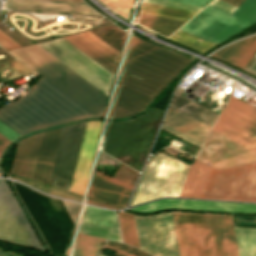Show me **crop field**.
I'll return each instance as SVG.
<instances>
[{"mask_svg":"<svg viewBox=\"0 0 256 256\" xmlns=\"http://www.w3.org/2000/svg\"><path fill=\"white\" fill-rule=\"evenodd\" d=\"M210 5L215 6L217 8H220V9H223V10L228 11L230 13H232L236 9L234 7L226 5V4H224L222 2H219L217 0L213 1Z\"/></svg>","mask_w":256,"mask_h":256,"instance_id":"45","label":"crop field"},{"mask_svg":"<svg viewBox=\"0 0 256 256\" xmlns=\"http://www.w3.org/2000/svg\"><path fill=\"white\" fill-rule=\"evenodd\" d=\"M118 217L123 242L140 248L133 215L124 212H118Z\"/></svg>","mask_w":256,"mask_h":256,"instance_id":"31","label":"crop field"},{"mask_svg":"<svg viewBox=\"0 0 256 256\" xmlns=\"http://www.w3.org/2000/svg\"><path fill=\"white\" fill-rule=\"evenodd\" d=\"M132 190V188L94 177L88 197L125 207Z\"/></svg>","mask_w":256,"mask_h":256,"instance_id":"20","label":"crop field"},{"mask_svg":"<svg viewBox=\"0 0 256 256\" xmlns=\"http://www.w3.org/2000/svg\"><path fill=\"white\" fill-rule=\"evenodd\" d=\"M210 256H238L230 216L202 215Z\"/></svg>","mask_w":256,"mask_h":256,"instance_id":"13","label":"crop field"},{"mask_svg":"<svg viewBox=\"0 0 256 256\" xmlns=\"http://www.w3.org/2000/svg\"><path fill=\"white\" fill-rule=\"evenodd\" d=\"M43 134L31 136L18 144L10 174L33 178Z\"/></svg>","mask_w":256,"mask_h":256,"instance_id":"17","label":"crop field"},{"mask_svg":"<svg viewBox=\"0 0 256 256\" xmlns=\"http://www.w3.org/2000/svg\"><path fill=\"white\" fill-rule=\"evenodd\" d=\"M172 215L180 256H209L201 215Z\"/></svg>","mask_w":256,"mask_h":256,"instance_id":"12","label":"crop field"},{"mask_svg":"<svg viewBox=\"0 0 256 256\" xmlns=\"http://www.w3.org/2000/svg\"><path fill=\"white\" fill-rule=\"evenodd\" d=\"M38 45L108 95L114 75L65 39L61 38Z\"/></svg>","mask_w":256,"mask_h":256,"instance_id":"8","label":"crop field"},{"mask_svg":"<svg viewBox=\"0 0 256 256\" xmlns=\"http://www.w3.org/2000/svg\"><path fill=\"white\" fill-rule=\"evenodd\" d=\"M3 8L99 15L84 2L55 0H8Z\"/></svg>","mask_w":256,"mask_h":256,"instance_id":"16","label":"crop field"},{"mask_svg":"<svg viewBox=\"0 0 256 256\" xmlns=\"http://www.w3.org/2000/svg\"><path fill=\"white\" fill-rule=\"evenodd\" d=\"M10 178L16 179L20 182H23L27 185H30V186H32V187H34V188H36V189H38L42 192H45L47 194L63 197V198L78 201V202H81V199H82L81 197H78L76 195L67 193L65 191L59 190V189L54 188V187H50V186H46V185H42V184H38V183L26 181V180H22V179H18V178H14V177H10Z\"/></svg>","mask_w":256,"mask_h":256,"instance_id":"35","label":"crop field"},{"mask_svg":"<svg viewBox=\"0 0 256 256\" xmlns=\"http://www.w3.org/2000/svg\"><path fill=\"white\" fill-rule=\"evenodd\" d=\"M85 124L63 129L49 183L69 190Z\"/></svg>","mask_w":256,"mask_h":256,"instance_id":"11","label":"crop field"},{"mask_svg":"<svg viewBox=\"0 0 256 256\" xmlns=\"http://www.w3.org/2000/svg\"><path fill=\"white\" fill-rule=\"evenodd\" d=\"M104 249H107V250H110V251H113V252H116V253H119V254H122V255H126V256H135V255H132V254H129V253L117 250L115 248H112V247H109V246H106V245L104 246Z\"/></svg>","mask_w":256,"mask_h":256,"instance_id":"50","label":"crop field"},{"mask_svg":"<svg viewBox=\"0 0 256 256\" xmlns=\"http://www.w3.org/2000/svg\"><path fill=\"white\" fill-rule=\"evenodd\" d=\"M164 124L176 129L177 131L200 143H203L211 127L173 107H170L169 114Z\"/></svg>","mask_w":256,"mask_h":256,"instance_id":"19","label":"crop field"},{"mask_svg":"<svg viewBox=\"0 0 256 256\" xmlns=\"http://www.w3.org/2000/svg\"><path fill=\"white\" fill-rule=\"evenodd\" d=\"M256 22V0H246L232 14L208 5L180 30L215 44Z\"/></svg>","mask_w":256,"mask_h":256,"instance_id":"4","label":"crop field"},{"mask_svg":"<svg viewBox=\"0 0 256 256\" xmlns=\"http://www.w3.org/2000/svg\"><path fill=\"white\" fill-rule=\"evenodd\" d=\"M0 45L5 49H14L20 47L16 42L6 36L3 32L0 31Z\"/></svg>","mask_w":256,"mask_h":256,"instance_id":"39","label":"crop field"},{"mask_svg":"<svg viewBox=\"0 0 256 256\" xmlns=\"http://www.w3.org/2000/svg\"><path fill=\"white\" fill-rule=\"evenodd\" d=\"M219 1H222L224 3H227L231 6H234V7H238L240 6L245 0H219Z\"/></svg>","mask_w":256,"mask_h":256,"instance_id":"46","label":"crop field"},{"mask_svg":"<svg viewBox=\"0 0 256 256\" xmlns=\"http://www.w3.org/2000/svg\"><path fill=\"white\" fill-rule=\"evenodd\" d=\"M82 220L119 228L115 212L90 206H87Z\"/></svg>","mask_w":256,"mask_h":256,"instance_id":"29","label":"crop field"},{"mask_svg":"<svg viewBox=\"0 0 256 256\" xmlns=\"http://www.w3.org/2000/svg\"><path fill=\"white\" fill-rule=\"evenodd\" d=\"M144 1L145 2H151V3H157V4H162V5L173 6V7L185 8V9H190V10H196V11H199V10L202 9V7H196V6H191V5L174 3V2L164 1V0H144Z\"/></svg>","mask_w":256,"mask_h":256,"instance_id":"37","label":"crop field"},{"mask_svg":"<svg viewBox=\"0 0 256 256\" xmlns=\"http://www.w3.org/2000/svg\"><path fill=\"white\" fill-rule=\"evenodd\" d=\"M86 201H87V203H89V204L98 205V206H102V207H106V208L121 209V208H117V207H114V206H110V205L103 204V203L96 202V201L89 200V199H86Z\"/></svg>","mask_w":256,"mask_h":256,"instance_id":"48","label":"crop field"},{"mask_svg":"<svg viewBox=\"0 0 256 256\" xmlns=\"http://www.w3.org/2000/svg\"><path fill=\"white\" fill-rule=\"evenodd\" d=\"M11 54L96 116H102L108 96L45 52L39 46L9 50Z\"/></svg>","mask_w":256,"mask_h":256,"instance_id":"3","label":"crop field"},{"mask_svg":"<svg viewBox=\"0 0 256 256\" xmlns=\"http://www.w3.org/2000/svg\"><path fill=\"white\" fill-rule=\"evenodd\" d=\"M190 62L132 37L120 86L153 99Z\"/></svg>","mask_w":256,"mask_h":256,"instance_id":"2","label":"crop field"},{"mask_svg":"<svg viewBox=\"0 0 256 256\" xmlns=\"http://www.w3.org/2000/svg\"><path fill=\"white\" fill-rule=\"evenodd\" d=\"M63 129V128H62ZM62 129L46 132L44 134L34 180L49 182L55 155L60 141Z\"/></svg>","mask_w":256,"mask_h":256,"instance_id":"18","label":"crop field"},{"mask_svg":"<svg viewBox=\"0 0 256 256\" xmlns=\"http://www.w3.org/2000/svg\"><path fill=\"white\" fill-rule=\"evenodd\" d=\"M102 123L87 121L71 191L84 195Z\"/></svg>","mask_w":256,"mask_h":256,"instance_id":"14","label":"crop field"},{"mask_svg":"<svg viewBox=\"0 0 256 256\" xmlns=\"http://www.w3.org/2000/svg\"><path fill=\"white\" fill-rule=\"evenodd\" d=\"M171 106L212 126L216 119V113L176 94Z\"/></svg>","mask_w":256,"mask_h":256,"instance_id":"23","label":"crop field"},{"mask_svg":"<svg viewBox=\"0 0 256 256\" xmlns=\"http://www.w3.org/2000/svg\"><path fill=\"white\" fill-rule=\"evenodd\" d=\"M165 208H185L198 210H217L227 212H256V205L228 203V202H212V201H196V200H180V199H162L142 206L131 208L135 211L150 212Z\"/></svg>","mask_w":256,"mask_h":256,"instance_id":"15","label":"crop field"},{"mask_svg":"<svg viewBox=\"0 0 256 256\" xmlns=\"http://www.w3.org/2000/svg\"><path fill=\"white\" fill-rule=\"evenodd\" d=\"M91 116L43 78L24 97L0 109V120L20 135Z\"/></svg>","mask_w":256,"mask_h":256,"instance_id":"1","label":"crop field"},{"mask_svg":"<svg viewBox=\"0 0 256 256\" xmlns=\"http://www.w3.org/2000/svg\"><path fill=\"white\" fill-rule=\"evenodd\" d=\"M162 129H164V130H166V131H168V132H170V133H172V134H174V135H176V136H178V137H180V138H182V139H184V140H186V141H188V142H190V143H192V144H194V145H196V146H198L200 148L202 146V144H200V143L190 139L189 137H187V136L177 132L176 130H174V129L166 126V125H163Z\"/></svg>","mask_w":256,"mask_h":256,"instance_id":"43","label":"crop field"},{"mask_svg":"<svg viewBox=\"0 0 256 256\" xmlns=\"http://www.w3.org/2000/svg\"><path fill=\"white\" fill-rule=\"evenodd\" d=\"M78 35L82 37L84 40H86L88 43H90L92 46L97 48L99 51H101L103 54H105L107 57H109L111 60H113L115 63H118L120 53H118L116 50H114L109 45L104 43L91 32L86 31L78 33Z\"/></svg>","mask_w":256,"mask_h":256,"instance_id":"34","label":"crop field"},{"mask_svg":"<svg viewBox=\"0 0 256 256\" xmlns=\"http://www.w3.org/2000/svg\"><path fill=\"white\" fill-rule=\"evenodd\" d=\"M0 239L44 250L4 180L1 179Z\"/></svg>","mask_w":256,"mask_h":256,"instance_id":"10","label":"crop field"},{"mask_svg":"<svg viewBox=\"0 0 256 256\" xmlns=\"http://www.w3.org/2000/svg\"><path fill=\"white\" fill-rule=\"evenodd\" d=\"M255 53L256 35H253L230 46L224 47L211 56L243 69Z\"/></svg>","mask_w":256,"mask_h":256,"instance_id":"21","label":"crop field"},{"mask_svg":"<svg viewBox=\"0 0 256 256\" xmlns=\"http://www.w3.org/2000/svg\"><path fill=\"white\" fill-rule=\"evenodd\" d=\"M135 113L136 112L131 111V110L126 109V108H123V107L118 106V105L115 104L113 114H112V118L127 117V116H130V115L135 114Z\"/></svg>","mask_w":256,"mask_h":256,"instance_id":"40","label":"crop field"},{"mask_svg":"<svg viewBox=\"0 0 256 256\" xmlns=\"http://www.w3.org/2000/svg\"><path fill=\"white\" fill-rule=\"evenodd\" d=\"M109 8L122 15L123 17H129L133 0H100Z\"/></svg>","mask_w":256,"mask_h":256,"instance_id":"36","label":"crop field"},{"mask_svg":"<svg viewBox=\"0 0 256 256\" xmlns=\"http://www.w3.org/2000/svg\"><path fill=\"white\" fill-rule=\"evenodd\" d=\"M245 70L256 75V58L252 61V63Z\"/></svg>","mask_w":256,"mask_h":256,"instance_id":"49","label":"crop field"},{"mask_svg":"<svg viewBox=\"0 0 256 256\" xmlns=\"http://www.w3.org/2000/svg\"><path fill=\"white\" fill-rule=\"evenodd\" d=\"M213 131L256 152V108L230 96Z\"/></svg>","mask_w":256,"mask_h":256,"instance_id":"7","label":"crop field"},{"mask_svg":"<svg viewBox=\"0 0 256 256\" xmlns=\"http://www.w3.org/2000/svg\"><path fill=\"white\" fill-rule=\"evenodd\" d=\"M94 176L102 178V179H105V180H109V181H112V182H115V183H119V184H122V185H125V186H129V187H132V188L134 187V184H135L134 182L125 180V179L117 177V176H115V178L112 179V178H110V177H108L106 175H103V174H101V173H99L97 171L95 172Z\"/></svg>","mask_w":256,"mask_h":256,"instance_id":"38","label":"crop field"},{"mask_svg":"<svg viewBox=\"0 0 256 256\" xmlns=\"http://www.w3.org/2000/svg\"><path fill=\"white\" fill-rule=\"evenodd\" d=\"M239 256H256V229L235 228Z\"/></svg>","mask_w":256,"mask_h":256,"instance_id":"27","label":"crop field"},{"mask_svg":"<svg viewBox=\"0 0 256 256\" xmlns=\"http://www.w3.org/2000/svg\"><path fill=\"white\" fill-rule=\"evenodd\" d=\"M211 169V167L195 160L188 171L178 196L199 198Z\"/></svg>","mask_w":256,"mask_h":256,"instance_id":"22","label":"crop field"},{"mask_svg":"<svg viewBox=\"0 0 256 256\" xmlns=\"http://www.w3.org/2000/svg\"><path fill=\"white\" fill-rule=\"evenodd\" d=\"M137 23L168 37L185 22L140 14Z\"/></svg>","mask_w":256,"mask_h":256,"instance_id":"24","label":"crop field"},{"mask_svg":"<svg viewBox=\"0 0 256 256\" xmlns=\"http://www.w3.org/2000/svg\"><path fill=\"white\" fill-rule=\"evenodd\" d=\"M200 198L256 202V163L226 170L212 169Z\"/></svg>","mask_w":256,"mask_h":256,"instance_id":"6","label":"crop field"},{"mask_svg":"<svg viewBox=\"0 0 256 256\" xmlns=\"http://www.w3.org/2000/svg\"><path fill=\"white\" fill-rule=\"evenodd\" d=\"M104 240L78 235L73 256H96Z\"/></svg>","mask_w":256,"mask_h":256,"instance_id":"32","label":"crop field"},{"mask_svg":"<svg viewBox=\"0 0 256 256\" xmlns=\"http://www.w3.org/2000/svg\"><path fill=\"white\" fill-rule=\"evenodd\" d=\"M11 141H9L7 138H5L4 136H2L0 134V154L3 151V149L10 143Z\"/></svg>","mask_w":256,"mask_h":256,"instance_id":"47","label":"crop field"},{"mask_svg":"<svg viewBox=\"0 0 256 256\" xmlns=\"http://www.w3.org/2000/svg\"><path fill=\"white\" fill-rule=\"evenodd\" d=\"M169 39L176 41L180 44H183L187 47H190L194 50H197L201 53H203L204 51L208 50L209 48L215 45L203 39L199 41L200 38H197L195 36H192L180 30H178L172 36H170Z\"/></svg>","mask_w":256,"mask_h":256,"instance_id":"33","label":"crop field"},{"mask_svg":"<svg viewBox=\"0 0 256 256\" xmlns=\"http://www.w3.org/2000/svg\"><path fill=\"white\" fill-rule=\"evenodd\" d=\"M150 101L151 99L149 98L120 87L115 103L138 112L143 109Z\"/></svg>","mask_w":256,"mask_h":256,"instance_id":"28","label":"crop field"},{"mask_svg":"<svg viewBox=\"0 0 256 256\" xmlns=\"http://www.w3.org/2000/svg\"><path fill=\"white\" fill-rule=\"evenodd\" d=\"M140 13L187 21L197 12L143 2Z\"/></svg>","mask_w":256,"mask_h":256,"instance_id":"25","label":"crop field"},{"mask_svg":"<svg viewBox=\"0 0 256 256\" xmlns=\"http://www.w3.org/2000/svg\"><path fill=\"white\" fill-rule=\"evenodd\" d=\"M79 232L87 235L105 238V239H113V240L121 241L119 229L108 227V226H103V225L82 221Z\"/></svg>","mask_w":256,"mask_h":256,"instance_id":"30","label":"crop field"},{"mask_svg":"<svg viewBox=\"0 0 256 256\" xmlns=\"http://www.w3.org/2000/svg\"><path fill=\"white\" fill-rule=\"evenodd\" d=\"M64 38L67 41H69L71 44L76 46L78 49H80L82 52H84L86 55L91 57L93 60H95L97 63L102 65L104 68H106L112 74L115 73L117 64H115L113 61H111L109 58H107L101 52L96 50L94 47H92L90 44H88L86 41H84L78 35L74 34V35L67 36Z\"/></svg>","mask_w":256,"mask_h":256,"instance_id":"26","label":"crop field"},{"mask_svg":"<svg viewBox=\"0 0 256 256\" xmlns=\"http://www.w3.org/2000/svg\"><path fill=\"white\" fill-rule=\"evenodd\" d=\"M189 167L167 154L158 153L150 159L130 205L177 196Z\"/></svg>","mask_w":256,"mask_h":256,"instance_id":"5","label":"crop field"},{"mask_svg":"<svg viewBox=\"0 0 256 256\" xmlns=\"http://www.w3.org/2000/svg\"><path fill=\"white\" fill-rule=\"evenodd\" d=\"M134 217L142 249L156 256H179L170 213Z\"/></svg>","mask_w":256,"mask_h":256,"instance_id":"9","label":"crop field"},{"mask_svg":"<svg viewBox=\"0 0 256 256\" xmlns=\"http://www.w3.org/2000/svg\"><path fill=\"white\" fill-rule=\"evenodd\" d=\"M63 202H64L66 208L68 209L70 215L72 216L74 222L76 223L81 205L76 204V203H72V202H69V201H65V200H63Z\"/></svg>","mask_w":256,"mask_h":256,"instance_id":"41","label":"crop field"},{"mask_svg":"<svg viewBox=\"0 0 256 256\" xmlns=\"http://www.w3.org/2000/svg\"><path fill=\"white\" fill-rule=\"evenodd\" d=\"M0 133L11 141H13L14 139L20 136L16 132H14L12 129H10L8 126L3 124L1 121H0Z\"/></svg>","mask_w":256,"mask_h":256,"instance_id":"42","label":"crop field"},{"mask_svg":"<svg viewBox=\"0 0 256 256\" xmlns=\"http://www.w3.org/2000/svg\"><path fill=\"white\" fill-rule=\"evenodd\" d=\"M169 1H175V2H180V3L205 7L212 0H169Z\"/></svg>","mask_w":256,"mask_h":256,"instance_id":"44","label":"crop field"}]
</instances>
